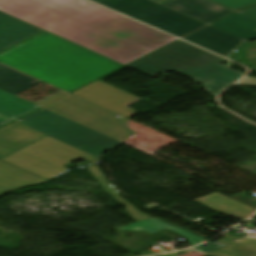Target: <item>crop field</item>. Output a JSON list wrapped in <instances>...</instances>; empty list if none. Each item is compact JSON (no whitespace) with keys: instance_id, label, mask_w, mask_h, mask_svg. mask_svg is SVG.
I'll use <instances>...</instances> for the list:
<instances>
[{"instance_id":"obj_1","label":"crop field","mask_w":256,"mask_h":256,"mask_svg":"<svg viewBox=\"0 0 256 256\" xmlns=\"http://www.w3.org/2000/svg\"><path fill=\"white\" fill-rule=\"evenodd\" d=\"M0 10L124 65L177 40L84 0H0Z\"/></svg>"},{"instance_id":"obj_2","label":"crop field","mask_w":256,"mask_h":256,"mask_svg":"<svg viewBox=\"0 0 256 256\" xmlns=\"http://www.w3.org/2000/svg\"><path fill=\"white\" fill-rule=\"evenodd\" d=\"M0 61L67 92L124 66L48 31L0 55Z\"/></svg>"},{"instance_id":"obj_3","label":"crop field","mask_w":256,"mask_h":256,"mask_svg":"<svg viewBox=\"0 0 256 256\" xmlns=\"http://www.w3.org/2000/svg\"><path fill=\"white\" fill-rule=\"evenodd\" d=\"M17 122L98 158L123 144L44 108Z\"/></svg>"},{"instance_id":"obj_4","label":"crop field","mask_w":256,"mask_h":256,"mask_svg":"<svg viewBox=\"0 0 256 256\" xmlns=\"http://www.w3.org/2000/svg\"><path fill=\"white\" fill-rule=\"evenodd\" d=\"M81 157L93 163L101 161L94 156L48 137L2 160L46 180H51L69 171L64 166Z\"/></svg>"},{"instance_id":"obj_5","label":"crop field","mask_w":256,"mask_h":256,"mask_svg":"<svg viewBox=\"0 0 256 256\" xmlns=\"http://www.w3.org/2000/svg\"><path fill=\"white\" fill-rule=\"evenodd\" d=\"M180 38L206 26L149 0H93Z\"/></svg>"},{"instance_id":"obj_6","label":"crop field","mask_w":256,"mask_h":256,"mask_svg":"<svg viewBox=\"0 0 256 256\" xmlns=\"http://www.w3.org/2000/svg\"><path fill=\"white\" fill-rule=\"evenodd\" d=\"M44 108L120 142L137 133L126 126L129 119L123 117L119 118L116 114L108 112L72 95Z\"/></svg>"},{"instance_id":"obj_7","label":"crop field","mask_w":256,"mask_h":256,"mask_svg":"<svg viewBox=\"0 0 256 256\" xmlns=\"http://www.w3.org/2000/svg\"><path fill=\"white\" fill-rule=\"evenodd\" d=\"M45 137L47 136L15 122L0 130V159ZM45 182L48 181L0 160V195Z\"/></svg>"},{"instance_id":"obj_8","label":"crop field","mask_w":256,"mask_h":256,"mask_svg":"<svg viewBox=\"0 0 256 256\" xmlns=\"http://www.w3.org/2000/svg\"><path fill=\"white\" fill-rule=\"evenodd\" d=\"M155 53L209 76L228 86L244 75L218 64L225 59L181 40Z\"/></svg>"},{"instance_id":"obj_9","label":"crop field","mask_w":256,"mask_h":256,"mask_svg":"<svg viewBox=\"0 0 256 256\" xmlns=\"http://www.w3.org/2000/svg\"><path fill=\"white\" fill-rule=\"evenodd\" d=\"M72 95L126 118L136 115V111L127 106L142 100L101 81H97Z\"/></svg>"},{"instance_id":"obj_10","label":"crop field","mask_w":256,"mask_h":256,"mask_svg":"<svg viewBox=\"0 0 256 256\" xmlns=\"http://www.w3.org/2000/svg\"><path fill=\"white\" fill-rule=\"evenodd\" d=\"M128 67L146 73L156 78L157 73L176 71L191 79L197 80L203 83L208 91L213 95L218 94L226 89L228 86L217 82L209 77H206L200 73H197L189 68H186L180 64L170 61L164 57H161L155 53L129 65Z\"/></svg>"},{"instance_id":"obj_11","label":"crop field","mask_w":256,"mask_h":256,"mask_svg":"<svg viewBox=\"0 0 256 256\" xmlns=\"http://www.w3.org/2000/svg\"><path fill=\"white\" fill-rule=\"evenodd\" d=\"M43 31L0 11V53Z\"/></svg>"},{"instance_id":"obj_12","label":"crop field","mask_w":256,"mask_h":256,"mask_svg":"<svg viewBox=\"0 0 256 256\" xmlns=\"http://www.w3.org/2000/svg\"><path fill=\"white\" fill-rule=\"evenodd\" d=\"M184 39L204 47L212 52H215L221 56L231 52L244 41L240 38L217 30L211 26H208Z\"/></svg>"},{"instance_id":"obj_13","label":"crop field","mask_w":256,"mask_h":256,"mask_svg":"<svg viewBox=\"0 0 256 256\" xmlns=\"http://www.w3.org/2000/svg\"><path fill=\"white\" fill-rule=\"evenodd\" d=\"M164 6L207 24L233 12L207 0H174Z\"/></svg>"},{"instance_id":"obj_14","label":"crop field","mask_w":256,"mask_h":256,"mask_svg":"<svg viewBox=\"0 0 256 256\" xmlns=\"http://www.w3.org/2000/svg\"><path fill=\"white\" fill-rule=\"evenodd\" d=\"M211 26L238 36L246 41L256 39V21L248 19L237 13L211 24ZM249 29H252L253 31Z\"/></svg>"},{"instance_id":"obj_15","label":"crop field","mask_w":256,"mask_h":256,"mask_svg":"<svg viewBox=\"0 0 256 256\" xmlns=\"http://www.w3.org/2000/svg\"><path fill=\"white\" fill-rule=\"evenodd\" d=\"M196 201L237 219L247 218L255 212V210L219 193L198 199Z\"/></svg>"},{"instance_id":"obj_16","label":"crop field","mask_w":256,"mask_h":256,"mask_svg":"<svg viewBox=\"0 0 256 256\" xmlns=\"http://www.w3.org/2000/svg\"><path fill=\"white\" fill-rule=\"evenodd\" d=\"M41 82L0 63V89L18 95Z\"/></svg>"},{"instance_id":"obj_17","label":"crop field","mask_w":256,"mask_h":256,"mask_svg":"<svg viewBox=\"0 0 256 256\" xmlns=\"http://www.w3.org/2000/svg\"><path fill=\"white\" fill-rule=\"evenodd\" d=\"M119 229L122 231L145 230L151 234L158 232V231H162V230H171V231L183 236L187 241L190 242L191 245L207 241L206 239H203L187 230L170 226V225L165 224L161 221H158L154 218L150 219V220L136 222L129 226L121 227Z\"/></svg>"},{"instance_id":"obj_18","label":"crop field","mask_w":256,"mask_h":256,"mask_svg":"<svg viewBox=\"0 0 256 256\" xmlns=\"http://www.w3.org/2000/svg\"><path fill=\"white\" fill-rule=\"evenodd\" d=\"M40 107L0 90V114L12 120Z\"/></svg>"},{"instance_id":"obj_19","label":"crop field","mask_w":256,"mask_h":256,"mask_svg":"<svg viewBox=\"0 0 256 256\" xmlns=\"http://www.w3.org/2000/svg\"><path fill=\"white\" fill-rule=\"evenodd\" d=\"M88 170L93 174L99 184L104 188L106 193L112 195L117 201L126 205V211L131 215V217L135 221L145 220L151 218L147 214H144L127 200H125L122 196L119 195L114 186L110 183V181L105 177V175L101 172L97 165L88 168Z\"/></svg>"},{"instance_id":"obj_20","label":"crop field","mask_w":256,"mask_h":256,"mask_svg":"<svg viewBox=\"0 0 256 256\" xmlns=\"http://www.w3.org/2000/svg\"><path fill=\"white\" fill-rule=\"evenodd\" d=\"M209 254L214 256H256V251L236 242L226 248Z\"/></svg>"},{"instance_id":"obj_21","label":"crop field","mask_w":256,"mask_h":256,"mask_svg":"<svg viewBox=\"0 0 256 256\" xmlns=\"http://www.w3.org/2000/svg\"><path fill=\"white\" fill-rule=\"evenodd\" d=\"M233 11L256 5V0H209Z\"/></svg>"},{"instance_id":"obj_22","label":"crop field","mask_w":256,"mask_h":256,"mask_svg":"<svg viewBox=\"0 0 256 256\" xmlns=\"http://www.w3.org/2000/svg\"><path fill=\"white\" fill-rule=\"evenodd\" d=\"M226 246H228V245L217 241L214 244L208 243V244H205V245L198 246V247H196L194 249L195 250H199V251H203V252H206V253H209V252L218 250V249L226 247Z\"/></svg>"},{"instance_id":"obj_23","label":"crop field","mask_w":256,"mask_h":256,"mask_svg":"<svg viewBox=\"0 0 256 256\" xmlns=\"http://www.w3.org/2000/svg\"><path fill=\"white\" fill-rule=\"evenodd\" d=\"M237 13H239L241 15H244L246 17H249L253 20H256V7L251 8V9H247V10H243V11H239Z\"/></svg>"},{"instance_id":"obj_24","label":"crop field","mask_w":256,"mask_h":256,"mask_svg":"<svg viewBox=\"0 0 256 256\" xmlns=\"http://www.w3.org/2000/svg\"><path fill=\"white\" fill-rule=\"evenodd\" d=\"M237 85H241V86H255L256 87V78L246 77L241 82H239Z\"/></svg>"},{"instance_id":"obj_25","label":"crop field","mask_w":256,"mask_h":256,"mask_svg":"<svg viewBox=\"0 0 256 256\" xmlns=\"http://www.w3.org/2000/svg\"><path fill=\"white\" fill-rule=\"evenodd\" d=\"M67 93H64V92H61V93H59V94H57V95H55V96H53V97H51V98H49V99H47V100H45V101H43V102H41V103H39V104H37V105H39V106H44V105H46V104H48V103H50V102H52V101H54V100H56V99H58V98H60V97H62V96H64V95H66Z\"/></svg>"},{"instance_id":"obj_26","label":"crop field","mask_w":256,"mask_h":256,"mask_svg":"<svg viewBox=\"0 0 256 256\" xmlns=\"http://www.w3.org/2000/svg\"><path fill=\"white\" fill-rule=\"evenodd\" d=\"M241 242L246 244V245H248V246H250V247L256 248V239H249V238H247V239H245V240H243Z\"/></svg>"},{"instance_id":"obj_27","label":"crop field","mask_w":256,"mask_h":256,"mask_svg":"<svg viewBox=\"0 0 256 256\" xmlns=\"http://www.w3.org/2000/svg\"><path fill=\"white\" fill-rule=\"evenodd\" d=\"M188 252H194L191 249L186 250V251H182V252H178V253H172V254H165V255H160V256H180L182 254L188 253Z\"/></svg>"},{"instance_id":"obj_28","label":"crop field","mask_w":256,"mask_h":256,"mask_svg":"<svg viewBox=\"0 0 256 256\" xmlns=\"http://www.w3.org/2000/svg\"><path fill=\"white\" fill-rule=\"evenodd\" d=\"M10 121H12V120H10V119L0 115V126L4 125V124H6V123H8Z\"/></svg>"},{"instance_id":"obj_29","label":"crop field","mask_w":256,"mask_h":256,"mask_svg":"<svg viewBox=\"0 0 256 256\" xmlns=\"http://www.w3.org/2000/svg\"><path fill=\"white\" fill-rule=\"evenodd\" d=\"M152 1L157 2V3L161 4V5H163V4H165V3H167V2H169L171 0H152Z\"/></svg>"},{"instance_id":"obj_30","label":"crop field","mask_w":256,"mask_h":256,"mask_svg":"<svg viewBox=\"0 0 256 256\" xmlns=\"http://www.w3.org/2000/svg\"><path fill=\"white\" fill-rule=\"evenodd\" d=\"M254 217H256V216H254Z\"/></svg>"}]
</instances>
